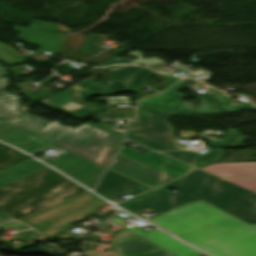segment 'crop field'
Segmentation results:
<instances>
[{
	"instance_id": "d1516ede",
	"label": "crop field",
	"mask_w": 256,
	"mask_h": 256,
	"mask_svg": "<svg viewBox=\"0 0 256 256\" xmlns=\"http://www.w3.org/2000/svg\"><path fill=\"white\" fill-rule=\"evenodd\" d=\"M149 190L152 189L108 170L95 192L109 198L121 193L135 196Z\"/></svg>"
},
{
	"instance_id": "412701ff",
	"label": "crop field",
	"mask_w": 256,
	"mask_h": 256,
	"mask_svg": "<svg viewBox=\"0 0 256 256\" xmlns=\"http://www.w3.org/2000/svg\"><path fill=\"white\" fill-rule=\"evenodd\" d=\"M28 159L21 152L0 144V171ZM84 191L47 168L1 188L0 208L4 213L20 219Z\"/></svg>"
},
{
	"instance_id": "120bbe31",
	"label": "crop field",
	"mask_w": 256,
	"mask_h": 256,
	"mask_svg": "<svg viewBox=\"0 0 256 256\" xmlns=\"http://www.w3.org/2000/svg\"><path fill=\"white\" fill-rule=\"evenodd\" d=\"M254 209H256V207H253Z\"/></svg>"
},
{
	"instance_id": "dafd665d",
	"label": "crop field",
	"mask_w": 256,
	"mask_h": 256,
	"mask_svg": "<svg viewBox=\"0 0 256 256\" xmlns=\"http://www.w3.org/2000/svg\"><path fill=\"white\" fill-rule=\"evenodd\" d=\"M98 111H102V109L99 105L91 106V107L83 108V109H79V110H73L71 112L74 114L75 118L82 120L87 115L94 113V112H98Z\"/></svg>"
},
{
	"instance_id": "e52e79f7",
	"label": "crop field",
	"mask_w": 256,
	"mask_h": 256,
	"mask_svg": "<svg viewBox=\"0 0 256 256\" xmlns=\"http://www.w3.org/2000/svg\"><path fill=\"white\" fill-rule=\"evenodd\" d=\"M55 168L93 189L105 168L95 165L79 156L66 152L48 162Z\"/></svg>"
},
{
	"instance_id": "8a807250",
	"label": "crop field",
	"mask_w": 256,
	"mask_h": 256,
	"mask_svg": "<svg viewBox=\"0 0 256 256\" xmlns=\"http://www.w3.org/2000/svg\"><path fill=\"white\" fill-rule=\"evenodd\" d=\"M148 221L214 256H256V225H249L203 200Z\"/></svg>"
},
{
	"instance_id": "733c2abd",
	"label": "crop field",
	"mask_w": 256,
	"mask_h": 256,
	"mask_svg": "<svg viewBox=\"0 0 256 256\" xmlns=\"http://www.w3.org/2000/svg\"><path fill=\"white\" fill-rule=\"evenodd\" d=\"M44 168L47 167L33 159L13 166L5 171L0 172V188L8 183L14 182L22 177H25Z\"/></svg>"
},
{
	"instance_id": "730fd06b",
	"label": "crop field",
	"mask_w": 256,
	"mask_h": 256,
	"mask_svg": "<svg viewBox=\"0 0 256 256\" xmlns=\"http://www.w3.org/2000/svg\"><path fill=\"white\" fill-rule=\"evenodd\" d=\"M153 116H168V115H160L158 113H153L148 110L138 109V117H153Z\"/></svg>"
},
{
	"instance_id": "bc2a9ffb",
	"label": "crop field",
	"mask_w": 256,
	"mask_h": 256,
	"mask_svg": "<svg viewBox=\"0 0 256 256\" xmlns=\"http://www.w3.org/2000/svg\"><path fill=\"white\" fill-rule=\"evenodd\" d=\"M174 131L168 117L137 118L127 127V132Z\"/></svg>"
},
{
	"instance_id": "1d83c4d3",
	"label": "crop field",
	"mask_w": 256,
	"mask_h": 256,
	"mask_svg": "<svg viewBox=\"0 0 256 256\" xmlns=\"http://www.w3.org/2000/svg\"><path fill=\"white\" fill-rule=\"evenodd\" d=\"M83 84L81 83V84H79L78 86H82Z\"/></svg>"
},
{
	"instance_id": "dd49c442",
	"label": "crop field",
	"mask_w": 256,
	"mask_h": 256,
	"mask_svg": "<svg viewBox=\"0 0 256 256\" xmlns=\"http://www.w3.org/2000/svg\"><path fill=\"white\" fill-rule=\"evenodd\" d=\"M101 230L117 235L112 244L120 255L116 251L105 253L85 250L88 256H175L124 228L118 234L104 227Z\"/></svg>"
},
{
	"instance_id": "750c4746",
	"label": "crop field",
	"mask_w": 256,
	"mask_h": 256,
	"mask_svg": "<svg viewBox=\"0 0 256 256\" xmlns=\"http://www.w3.org/2000/svg\"><path fill=\"white\" fill-rule=\"evenodd\" d=\"M155 154H157V153H154V152L149 151V152H147L145 155L151 157V156H153V155H155Z\"/></svg>"
},
{
	"instance_id": "cbeb9de0",
	"label": "crop field",
	"mask_w": 256,
	"mask_h": 256,
	"mask_svg": "<svg viewBox=\"0 0 256 256\" xmlns=\"http://www.w3.org/2000/svg\"><path fill=\"white\" fill-rule=\"evenodd\" d=\"M200 101L203 105L196 107L202 113L256 110L249 103L232 106L229 103L231 98L223 93L214 95L201 94Z\"/></svg>"
},
{
	"instance_id": "34b2d1b8",
	"label": "crop field",
	"mask_w": 256,
	"mask_h": 256,
	"mask_svg": "<svg viewBox=\"0 0 256 256\" xmlns=\"http://www.w3.org/2000/svg\"><path fill=\"white\" fill-rule=\"evenodd\" d=\"M168 187L176 189L181 194L177 196L170 194L172 191L166 189ZM199 199H203L250 224L256 222V210L251 208L256 205V194L200 170L118 206L132 213L145 207L163 213Z\"/></svg>"
},
{
	"instance_id": "ac0d7876",
	"label": "crop field",
	"mask_w": 256,
	"mask_h": 256,
	"mask_svg": "<svg viewBox=\"0 0 256 256\" xmlns=\"http://www.w3.org/2000/svg\"><path fill=\"white\" fill-rule=\"evenodd\" d=\"M4 74L8 72L0 66V120L107 168L123 139L87 124L66 127L57 120L51 122L29 114L16 92L5 91L9 78L4 79Z\"/></svg>"
},
{
	"instance_id": "a9b5d70f",
	"label": "crop field",
	"mask_w": 256,
	"mask_h": 256,
	"mask_svg": "<svg viewBox=\"0 0 256 256\" xmlns=\"http://www.w3.org/2000/svg\"><path fill=\"white\" fill-rule=\"evenodd\" d=\"M123 118H134V114L100 115L94 118V120H109V119H123Z\"/></svg>"
},
{
	"instance_id": "5142ce71",
	"label": "crop field",
	"mask_w": 256,
	"mask_h": 256,
	"mask_svg": "<svg viewBox=\"0 0 256 256\" xmlns=\"http://www.w3.org/2000/svg\"><path fill=\"white\" fill-rule=\"evenodd\" d=\"M165 154L178 158L198 168L219 163L226 156L225 154L216 150H210L204 155L196 152H189V151L168 152Z\"/></svg>"
},
{
	"instance_id": "4177f3b9",
	"label": "crop field",
	"mask_w": 256,
	"mask_h": 256,
	"mask_svg": "<svg viewBox=\"0 0 256 256\" xmlns=\"http://www.w3.org/2000/svg\"><path fill=\"white\" fill-rule=\"evenodd\" d=\"M131 61H132V59H129V58H115V59L107 62L106 64H104L102 67L109 66V65L128 64Z\"/></svg>"
},
{
	"instance_id": "eef30255",
	"label": "crop field",
	"mask_w": 256,
	"mask_h": 256,
	"mask_svg": "<svg viewBox=\"0 0 256 256\" xmlns=\"http://www.w3.org/2000/svg\"><path fill=\"white\" fill-rule=\"evenodd\" d=\"M44 240V238H42L39 234H37L36 232H34L30 237L25 238V239H21V241L26 242V243H31L34 241H41Z\"/></svg>"
},
{
	"instance_id": "ae1a2a85",
	"label": "crop field",
	"mask_w": 256,
	"mask_h": 256,
	"mask_svg": "<svg viewBox=\"0 0 256 256\" xmlns=\"http://www.w3.org/2000/svg\"><path fill=\"white\" fill-rule=\"evenodd\" d=\"M17 224H19V222H17V221L10 222V223H5V224H0V228L5 230V229H7L9 227H12L14 225H17Z\"/></svg>"
},
{
	"instance_id": "bd1437ed",
	"label": "crop field",
	"mask_w": 256,
	"mask_h": 256,
	"mask_svg": "<svg viewBox=\"0 0 256 256\" xmlns=\"http://www.w3.org/2000/svg\"><path fill=\"white\" fill-rule=\"evenodd\" d=\"M194 87L197 88V89H204V87H202L200 84H198V85H196Z\"/></svg>"
},
{
	"instance_id": "d9b57169",
	"label": "crop field",
	"mask_w": 256,
	"mask_h": 256,
	"mask_svg": "<svg viewBox=\"0 0 256 256\" xmlns=\"http://www.w3.org/2000/svg\"><path fill=\"white\" fill-rule=\"evenodd\" d=\"M183 82L184 81L180 82L179 84L175 85L173 88L164 92L161 95L144 100L140 106L164 113L165 111L170 109L172 106H174L178 101L185 98V96L175 93L176 91L184 87L182 84ZM161 103H165V104L159 105Z\"/></svg>"
},
{
	"instance_id": "d8731c3e",
	"label": "crop field",
	"mask_w": 256,
	"mask_h": 256,
	"mask_svg": "<svg viewBox=\"0 0 256 256\" xmlns=\"http://www.w3.org/2000/svg\"><path fill=\"white\" fill-rule=\"evenodd\" d=\"M109 169L152 189L158 188L174 180L120 155H117Z\"/></svg>"
},
{
	"instance_id": "3316defc",
	"label": "crop field",
	"mask_w": 256,
	"mask_h": 256,
	"mask_svg": "<svg viewBox=\"0 0 256 256\" xmlns=\"http://www.w3.org/2000/svg\"><path fill=\"white\" fill-rule=\"evenodd\" d=\"M120 155L127 157L131 160H134L138 163H141L145 166H148L152 169H155L163 174H166L174 179L194 170V168L189 167L185 164L177 162L173 159L165 157L163 155H156L152 158L144 156L138 152L130 150L124 147L122 150L119 151Z\"/></svg>"
},
{
	"instance_id": "22f410ed",
	"label": "crop field",
	"mask_w": 256,
	"mask_h": 256,
	"mask_svg": "<svg viewBox=\"0 0 256 256\" xmlns=\"http://www.w3.org/2000/svg\"><path fill=\"white\" fill-rule=\"evenodd\" d=\"M0 140L10 143L32 155L47 147H56L2 121H0Z\"/></svg>"
},
{
	"instance_id": "00972430",
	"label": "crop field",
	"mask_w": 256,
	"mask_h": 256,
	"mask_svg": "<svg viewBox=\"0 0 256 256\" xmlns=\"http://www.w3.org/2000/svg\"><path fill=\"white\" fill-rule=\"evenodd\" d=\"M168 111L172 114H179V113H187L195 110L190 106V104L181 101Z\"/></svg>"
},
{
	"instance_id": "28ad6ade",
	"label": "crop field",
	"mask_w": 256,
	"mask_h": 256,
	"mask_svg": "<svg viewBox=\"0 0 256 256\" xmlns=\"http://www.w3.org/2000/svg\"><path fill=\"white\" fill-rule=\"evenodd\" d=\"M110 220L123 226L124 228L132 231L133 233L143 237L144 239L172 252L173 254H175L177 256H201V255H203L202 253L196 251L195 249L185 245L184 243L176 240L175 238H173L157 229L146 233L136 227L129 228L128 225H126L120 221V220H122V218L111 217Z\"/></svg>"
},
{
	"instance_id": "214f88e0",
	"label": "crop field",
	"mask_w": 256,
	"mask_h": 256,
	"mask_svg": "<svg viewBox=\"0 0 256 256\" xmlns=\"http://www.w3.org/2000/svg\"><path fill=\"white\" fill-rule=\"evenodd\" d=\"M85 86L74 87L76 95L84 97L87 95L97 94V93H111L108 88L101 82L94 84L90 79L83 82Z\"/></svg>"
},
{
	"instance_id": "92a150f3",
	"label": "crop field",
	"mask_w": 256,
	"mask_h": 256,
	"mask_svg": "<svg viewBox=\"0 0 256 256\" xmlns=\"http://www.w3.org/2000/svg\"><path fill=\"white\" fill-rule=\"evenodd\" d=\"M67 92V91H66ZM63 93H54L53 95H51L49 98H47L46 100L40 102L39 104L44 105L52 110L72 101L68 95Z\"/></svg>"
},
{
	"instance_id": "f4fd0767",
	"label": "crop field",
	"mask_w": 256,
	"mask_h": 256,
	"mask_svg": "<svg viewBox=\"0 0 256 256\" xmlns=\"http://www.w3.org/2000/svg\"><path fill=\"white\" fill-rule=\"evenodd\" d=\"M105 204L107 203L87 191L20 221L35 228L45 237H53L75 222L86 219Z\"/></svg>"
},
{
	"instance_id": "d3111659",
	"label": "crop field",
	"mask_w": 256,
	"mask_h": 256,
	"mask_svg": "<svg viewBox=\"0 0 256 256\" xmlns=\"http://www.w3.org/2000/svg\"><path fill=\"white\" fill-rule=\"evenodd\" d=\"M7 220H15L7 215H5L2 210L0 209V222L7 221Z\"/></svg>"
},
{
	"instance_id": "4a817a6b",
	"label": "crop field",
	"mask_w": 256,
	"mask_h": 256,
	"mask_svg": "<svg viewBox=\"0 0 256 256\" xmlns=\"http://www.w3.org/2000/svg\"><path fill=\"white\" fill-rule=\"evenodd\" d=\"M128 138L157 151L179 150L176 138L159 139L156 132L128 133Z\"/></svg>"
},
{
	"instance_id": "5a996713",
	"label": "crop field",
	"mask_w": 256,
	"mask_h": 256,
	"mask_svg": "<svg viewBox=\"0 0 256 256\" xmlns=\"http://www.w3.org/2000/svg\"><path fill=\"white\" fill-rule=\"evenodd\" d=\"M105 69H108L112 73L110 78L114 81L107 82V87L112 93L125 91L140 84H145L147 76L153 73L149 69L135 66H116ZM161 76L166 78L167 81L164 84L168 86L180 80L164 75Z\"/></svg>"
}]
</instances>
